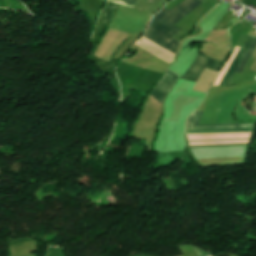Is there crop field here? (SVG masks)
<instances>
[{"instance_id": "8a807250", "label": "crop field", "mask_w": 256, "mask_h": 256, "mask_svg": "<svg viewBox=\"0 0 256 256\" xmlns=\"http://www.w3.org/2000/svg\"><path fill=\"white\" fill-rule=\"evenodd\" d=\"M194 1L202 3L199 0ZM194 1L184 0L170 11L163 8L158 14L154 15L153 20L178 32L181 29L174 26L176 22L200 5ZM174 34L176 32L151 21L143 37L176 53L178 42L171 38Z\"/></svg>"}, {"instance_id": "ac0d7876", "label": "crop field", "mask_w": 256, "mask_h": 256, "mask_svg": "<svg viewBox=\"0 0 256 256\" xmlns=\"http://www.w3.org/2000/svg\"><path fill=\"white\" fill-rule=\"evenodd\" d=\"M252 40H253V37L247 36V38L244 41L243 45L241 46L240 50L238 51L237 48L234 49V52L232 53V55L229 58L228 62L224 65L222 70L219 72V75L216 78L213 86L214 85H218L219 81L221 80V78L224 75L225 71L227 70L229 64L231 63L232 59L234 58L235 54L238 51V53L235 56L234 60L232 61L231 65L229 66L228 70L226 71L225 75L223 76L222 80L220 81L219 85H225L227 83V81L229 80L230 76L232 75V73L236 69L237 65L239 64L240 60L242 59L243 55L245 54L246 50L248 49L249 45L251 44ZM255 48H256V39L253 40L252 44L250 45L249 49L247 50L246 54L244 55L243 59L241 60V62L238 65L237 69L235 70V72L241 73L242 69L244 68L245 64L247 63L248 59L252 55V53L255 50ZM234 73H233V75H234ZM233 75H232V77H233ZM231 78H230V80H231ZM229 81H228V83H229ZM228 83H227V85H228Z\"/></svg>"}, {"instance_id": "34b2d1b8", "label": "crop field", "mask_w": 256, "mask_h": 256, "mask_svg": "<svg viewBox=\"0 0 256 256\" xmlns=\"http://www.w3.org/2000/svg\"><path fill=\"white\" fill-rule=\"evenodd\" d=\"M221 61L209 59L198 53L194 63L191 65L189 71L185 73L181 79L194 81L198 79L204 67L217 71L221 65ZM205 69V68H204Z\"/></svg>"}, {"instance_id": "412701ff", "label": "crop field", "mask_w": 256, "mask_h": 256, "mask_svg": "<svg viewBox=\"0 0 256 256\" xmlns=\"http://www.w3.org/2000/svg\"><path fill=\"white\" fill-rule=\"evenodd\" d=\"M177 79V74L167 70L163 80L152 90L150 95L163 104L165 96Z\"/></svg>"}, {"instance_id": "f4fd0767", "label": "crop field", "mask_w": 256, "mask_h": 256, "mask_svg": "<svg viewBox=\"0 0 256 256\" xmlns=\"http://www.w3.org/2000/svg\"><path fill=\"white\" fill-rule=\"evenodd\" d=\"M203 112H193L186 120V128H199V127H221V126H243V125H255V124H237V125H207L198 126L200 118Z\"/></svg>"}, {"instance_id": "dd49c442", "label": "crop field", "mask_w": 256, "mask_h": 256, "mask_svg": "<svg viewBox=\"0 0 256 256\" xmlns=\"http://www.w3.org/2000/svg\"><path fill=\"white\" fill-rule=\"evenodd\" d=\"M109 1H111V0H109ZM117 1L134 5L137 0H117ZM117 1H112V2L119 3V2H117ZM119 4H123V3H119ZM123 5H127V4H123ZM127 6L132 7L131 5H127Z\"/></svg>"}, {"instance_id": "e52e79f7", "label": "crop field", "mask_w": 256, "mask_h": 256, "mask_svg": "<svg viewBox=\"0 0 256 256\" xmlns=\"http://www.w3.org/2000/svg\"><path fill=\"white\" fill-rule=\"evenodd\" d=\"M218 256H228V254H219Z\"/></svg>"}]
</instances>
